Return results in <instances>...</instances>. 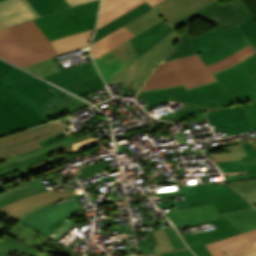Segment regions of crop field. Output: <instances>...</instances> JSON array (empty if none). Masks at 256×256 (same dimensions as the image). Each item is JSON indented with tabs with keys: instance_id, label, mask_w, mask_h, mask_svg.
I'll return each instance as SVG.
<instances>
[{
	"instance_id": "1",
	"label": "crop field",
	"mask_w": 256,
	"mask_h": 256,
	"mask_svg": "<svg viewBox=\"0 0 256 256\" xmlns=\"http://www.w3.org/2000/svg\"><path fill=\"white\" fill-rule=\"evenodd\" d=\"M254 54H256V49L249 44L238 52L209 66H206L197 55L161 63L154 70L145 86L143 85L141 92L180 85L188 90L218 82L213 74L224 71Z\"/></svg>"
},
{
	"instance_id": "2",
	"label": "crop field",
	"mask_w": 256,
	"mask_h": 256,
	"mask_svg": "<svg viewBox=\"0 0 256 256\" xmlns=\"http://www.w3.org/2000/svg\"><path fill=\"white\" fill-rule=\"evenodd\" d=\"M41 18L35 23L49 41L95 26L99 2L70 7L65 0H28Z\"/></svg>"
},
{
	"instance_id": "3",
	"label": "crop field",
	"mask_w": 256,
	"mask_h": 256,
	"mask_svg": "<svg viewBox=\"0 0 256 256\" xmlns=\"http://www.w3.org/2000/svg\"><path fill=\"white\" fill-rule=\"evenodd\" d=\"M140 94L144 96L150 104L144 107L147 111L169 99L174 102H181L184 105L182 107L186 109L183 110V108H181L159 119L189 118L202 110L212 111L237 105L220 82L188 91L181 86L173 89L143 92ZM211 106H213V108L209 109Z\"/></svg>"
},
{
	"instance_id": "4",
	"label": "crop field",
	"mask_w": 256,
	"mask_h": 256,
	"mask_svg": "<svg viewBox=\"0 0 256 256\" xmlns=\"http://www.w3.org/2000/svg\"><path fill=\"white\" fill-rule=\"evenodd\" d=\"M53 56L57 53L33 20L0 31V57L18 66Z\"/></svg>"
},
{
	"instance_id": "5",
	"label": "crop field",
	"mask_w": 256,
	"mask_h": 256,
	"mask_svg": "<svg viewBox=\"0 0 256 256\" xmlns=\"http://www.w3.org/2000/svg\"><path fill=\"white\" fill-rule=\"evenodd\" d=\"M242 0H234L222 5L219 0L175 21L174 28L177 29L183 25H187L182 38L180 39L175 51L165 60L174 59L190 54H195L192 41V33L190 22L196 18H201L221 30H226L238 23L245 22L244 17L239 11L237 5L242 4ZM215 11V12H213ZM164 60V61H165Z\"/></svg>"
},
{
	"instance_id": "6",
	"label": "crop field",
	"mask_w": 256,
	"mask_h": 256,
	"mask_svg": "<svg viewBox=\"0 0 256 256\" xmlns=\"http://www.w3.org/2000/svg\"><path fill=\"white\" fill-rule=\"evenodd\" d=\"M13 68L0 61V80ZM46 121L0 81V136Z\"/></svg>"
},
{
	"instance_id": "7",
	"label": "crop field",
	"mask_w": 256,
	"mask_h": 256,
	"mask_svg": "<svg viewBox=\"0 0 256 256\" xmlns=\"http://www.w3.org/2000/svg\"><path fill=\"white\" fill-rule=\"evenodd\" d=\"M188 205L177 207L178 210L212 203L220 213L241 210L251 206L244 198L226 183L199 184L180 187Z\"/></svg>"
},
{
	"instance_id": "8",
	"label": "crop field",
	"mask_w": 256,
	"mask_h": 256,
	"mask_svg": "<svg viewBox=\"0 0 256 256\" xmlns=\"http://www.w3.org/2000/svg\"><path fill=\"white\" fill-rule=\"evenodd\" d=\"M179 34L171 31L160 42L112 78L106 85L120 82L131 89H140L153 68L174 48Z\"/></svg>"
},
{
	"instance_id": "9",
	"label": "crop field",
	"mask_w": 256,
	"mask_h": 256,
	"mask_svg": "<svg viewBox=\"0 0 256 256\" xmlns=\"http://www.w3.org/2000/svg\"><path fill=\"white\" fill-rule=\"evenodd\" d=\"M47 239L48 237L16 222L0 238V256H52L53 254L69 256L70 253L43 246Z\"/></svg>"
},
{
	"instance_id": "10",
	"label": "crop field",
	"mask_w": 256,
	"mask_h": 256,
	"mask_svg": "<svg viewBox=\"0 0 256 256\" xmlns=\"http://www.w3.org/2000/svg\"><path fill=\"white\" fill-rule=\"evenodd\" d=\"M60 122H52L0 139V160L38 149L62 136L59 129L66 128Z\"/></svg>"
},
{
	"instance_id": "11",
	"label": "crop field",
	"mask_w": 256,
	"mask_h": 256,
	"mask_svg": "<svg viewBox=\"0 0 256 256\" xmlns=\"http://www.w3.org/2000/svg\"><path fill=\"white\" fill-rule=\"evenodd\" d=\"M176 228L225 216L240 232L256 228V210L249 208L221 215L212 205L199 206L165 213Z\"/></svg>"
},
{
	"instance_id": "12",
	"label": "crop field",
	"mask_w": 256,
	"mask_h": 256,
	"mask_svg": "<svg viewBox=\"0 0 256 256\" xmlns=\"http://www.w3.org/2000/svg\"><path fill=\"white\" fill-rule=\"evenodd\" d=\"M87 147L88 146L82 133L69 137L65 136L38 150L4 159L6 162L0 163V176L29 166L49 157L79 151Z\"/></svg>"
},
{
	"instance_id": "13",
	"label": "crop field",
	"mask_w": 256,
	"mask_h": 256,
	"mask_svg": "<svg viewBox=\"0 0 256 256\" xmlns=\"http://www.w3.org/2000/svg\"><path fill=\"white\" fill-rule=\"evenodd\" d=\"M1 81L35 111L61 91L16 68Z\"/></svg>"
},
{
	"instance_id": "14",
	"label": "crop field",
	"mask_w": 256,
	"mask_h": 256,
	"mask_svg": "<svg viewBox=\"0 0 256 256\" xmlns=\"http://www.w3.org/2000/svg\"><path fill=\"white\" fill-rule=\"evenodd\" d=\"M239 8L247 22L238 24L225 32L215 28L202 35L193 37L198 55H205L244 35L256 45V22L244 4L240 5Z\"/></svg>"
},
{
	"instance_id": "15",
	"label": "crop field",
	"mask_w": 256,
	"mask_h": 256,
	"mask_svg": "<svg viewBox=\"0 0 256 256\" xmlns=\"http://www.w3.org/2000/svg\"><path fill=\"white\" fill-rule=\"evenodd\" d=\"M215 76L236 102L256 98V55Z\"/></svg>"
},
{
	"instance_id": "16",
	"label": "crop field",
	"mask_w": 256,
	"mask_h": 256,
	"mask_svg": "<svg viewBox=\"0 0 256 256\" xmlns=\"http://www.w3.org/2000/svg\"><path fill=\"white\" fill-rule=\"evenodd\" d=\"M79 209L81 208L78 202L73 199L43 209H37L19 222L44 234L51 224L65 216L72 215V211Z\"/></svg>"
},
{
	"instance_id": "17",
	"label": "crop field",
	"mask_w": 256,
	"mask_h": 256,
	"mask_svg": "<svg viewBox=\"0 0 256 256\" xmlns=\"http://www.w3.org/2000/svg\"><path fill=\"white\" fill-rule=\"evenodd\" d=\"M137 58L130 41H127L94 61L106 83Z\"/></svg>"
},
{
	"instance_id": "18",
	"label": "crop field",
	"mask_w": 256,
	"mask_h": 256,
	"mask_svg": "<svg viewBox=\"0 0 256 256\" xmlns=\"http://www.w3.org/2000/svg\"><path fill=\"white\" fill-rule=\"evenodd\" d=\"M207 118L210 124L216 125L217 132L226 130L228 135L253 130L241 105L208 112Z\"/></svg>"
},
{
	"instance_id": "19",
	"label": "crop field",
	"mask_w": 256,
	"mask_h": 256,
	"mask_svg": "<svg viewBox=\"0 0 256 256\" xmlns=\"http://www.w3.org/2000/svg\"><path fill=\"white\" fill-rule=\"evenodd\" d=\"M38 17L27 0H9L0 4V30Z\"/></svg>"
},
{
	"instance_id": "20",
	"label": "crop field",
	"mask_w": 256,
	"mask_h": 256,
	"mask_svg": "<svg viewBox=\"0 0 256 256\" xmlns=\"http://www.w3.org/2000/svg\"><path fill=\"white\" fill-rule=\"evenodd\" d=\"M82 193V190H76L71 192L70 189L57 192L55 193L54 190L44 192L35 196H31L28 198H24L22 200H19L15 203L9 204L5 207H2V211L12 217L17 218L22 213L26 212L27 210L41 204H45L48 202L56 201L64 197L73 196Z\"/></svg>"
},
{
	"instance_id": "21",
	"label": "crop field",
	"mask_w": 256,
	"mask_h": 256,
	"mask_svg": "<svg viewBox=\"0 0 256 256\" xmlns=\"http://www.w3.org/2000/svg\"><path fill=\"white\" fill-rule=\"evenodd\" d=\"M87 106L89 105L62 91L36 112L47 120H54Z\"/></svg>"
},
{
	"instance_id": "22",
	"label": "crop field",
	"mask_w": 256,
	"mask_h": 256,
	"mask_svg": "<svg viewBox=\"0 0 256 256\" xmlns=\"http://www.w3.org/2000/svg\"><path fill=\"white\" fill-rule=\"evenodd\" d=\"M207 223L209 224L213 223L216 229L205 231V232L201 231L195 234H190V232L183 233L181 235L182 238L185 240L186 243L201 239L203 244H205V243L213 242L226 237H230L236 234H240V232L225 217L187 226V227L199 226ZM183 228H186V227H183ZM183 228H179V229H183Z\"/></svg>"
},
{
	"instance_id": "23",
	"label": "crop field",
	"mask_w": 256,
	"mask_h": 256,
	"mask_svg": "<svg viewBox=\"0 0 256 256\" xmlns=\"http://www.w3.org/2000/svg\"><path fill=\"white\" fill-rule=\"evenodd\" d=\"M210 1L212 0H164L153 5V7L170 23Z\"/></svg>"
},
{
	"instance_id": "24",
	"label": "crop field",
	"mask_w": 256,
	"mask_h": 256,
	"mask_svg": "<svg viewBox=\"0 0 256 256\" xmlns=\"http://www.w3.org/2000/svg\"><path fill=\"white\" fill-rule=\"evenodd\" d=\"M93 61L70 68L64 72L43 77L44 79L61 87L81 82L83 80L98 76Z\"/></svg>"
},
{
	"instance_id": "25",
	"label": "crop field",
	"mask_w": 256,
	"mask_h": 256,
	"mask_svg": "<svg viewBox=\"0 0 256 256\" xmlns=\"http://www.w3.org/2000/svg\"><path fill=\"white\" fill-rule=\"evenodd\" d=\"M171 30L172 27L169 26L167 22L164 24L160 22L130 40L138 56H141L143 52H145L147 49H149L151 46H153L155 43L165 37Z\"/></svg>"
},
{
	"instance_id": "26",
	"label": "crop field",
	"mask_w": 256,
	"mask_h": 256,
	"mask_svg": "<svg viewBox=\"0 0 256 256\" xmlns=\"http://www.w3.org/2000/svg\"><path fill=\"white\" fill-rule=\"evenodd\" d=\"M142 2V0H102L97 29Z\"/></svg>"
},
{
	"instance_id": "27",
	"label": "crop field",
	"mask_w": 256,
	"mask_h": 256,
	"mask_svg": "<svg viewBox=\"0 0 256 256\" xmlns=\"http://www.w3.org/2000/svg\"><path fill=\"white\" fill-rule=\"evenodd\" d=\"M134 36L136 35L127 30L125 27H120L113 33L93 43L91 48L93 59L111 50L112 48L120 45L121 43L129 40Z\"/></svg>"
},
{
	"instance_id": "28",
	"label": "crop field",
	"mask_w": 256,
	"mask_h": 256,
	"mask_svg": "<svg viewBox=\"0 0 256 256\" xmlns=\"http://www.w3.org/2000/svg\"><path fill=\"white\" fill-rule=\"evenodd\" d=\"M93 31L94 28L81 33L67 36L59 40L51 41V44L55 48L58 55H60L62 53H66L89 45Z\"/></svg>"
},
{
	"instance_id": "29",
	"label": "crop field",
	"mask_w": 256,
	"mask_h": 256,
	"mask_svg": "<svg viewBox=\"0 0 256 256\" xmlns=\"http://www.w3.org/2000/svg\"><path fill=\"white\" fill-rule=\"evenodd\" d=\"M150 9L152 8H150L145 2L136 6L135 8L131 9L130 11L126 12L125 14L121 15L120 17L116 18L115 20L111 21L110 23L98 29L95 33L94 41L113 32L123 24L142 15L143 13L147 12Z\"/></svg>"
},
{
	"instance_id": "30",
	"label": "crop field",
	"mask_w": 256,
	"mask_h": 256,
	"mask_svg": "<svg viewBox=\"0 0 256 256\" xmlns=\"http://www.w3.org/2000/svg\"><path fill=\"white\" fill-rule=\"evenodd\" d=\"M224 178L252 204L256 203V174L225 176Z\"/></svg>"
},
{
	"instance_id": "31",
	"label": "crop field",
	"mask_w": 256,
	"mask_h": 256,
	"mask_svg": "<svg viewBox=\"0 0 256 256\" xmlns=\"http://www.w3.org/2000/svg\"><path fill=\"white\" fill-rule=\"evenodd\" d=\"M162 20L164 19L152 9L123 26L137 35Z\"/></svg>"
},
{
	"instance_id": "32",
	"label": "crop field",
	"mask_w": 256,
	"mask_h": 256,
	"mask_svg": "<svg viewBox=\"0 0 256 256\" xmlns=\"http://www.w3.org/2000/svg\"><path fill=\"white\" fill-rule=\"evenodd\" d=\"M248 43H251V42L244 36V37H242V38H240V39H238V40H236V41H234V42H232L214 52H211L201 58L207 65H209V64L215 63V62L221 60L222 58H224L225 56L241 49ZM253 46L256 47L255 45H253Z\"/></svg>"
},
{
	"instance_id": "33",
	"label": "crop field",
	"mask_w": 256,
	"mask_h": 256,
	"mask_svg": "<svg viewBox=\"0 0 256 256\" xmlns=\"http://www.w3.org/2000/svg\"><path fill=\"white\" fill-rule=\"evenodd\" d=\"M23 68L41 77L65 70L60 65V63L55 59V57L23 67Z\"/></svg>"
},
{
	"instance_id": "34",
	"label": "crop field",
	"mask_w": 256,
	"mask_h": 256,
	"mask_svg": "<svg viewBox=\"0 0 256 256\" xmlns=\"http://www.w3.org/2000/svg\"><path fill=\"white\" fill-rule=\"evenodd\" d=\"M227 256H246L256 251L254 246L247 238L221 246Z\"/></svg>"
},
{
	"instance_id": "35",
	"label": "crop field",
	"mask_w": 256,
	"mask_h": 256,
	"mask_svg": "<svg viewBox=\"0 0 256 256\" xmlns=\"http://www.w3.org/2000/svg\"><path fill=\"white\" fill-rule=\"evenodd\" d=\"M104 86L105 85H104L101 77L98 76V77L83 81V82L75 84V85L64 87V88L77 94V95H80V94H83L86 92L100 89Z\"/></svg>"
},
{
	"instance_id": "36",
	"label": "crop field",
	"mask_w": 256,
	"mask_h": 256,
	"mask_svg": "<svg viewBox=\"0 0 256 256\" xmlns=\"http://www.w3.org/2000/svg\"><path fill=\"white\" fill-rule=\"evenodd\" d=\"M176 256H194L173 227L165 228Z\"/></svg>"
},
{
	"instance_id": "37",
	"label": "crop field",
	"mask_w": 256,
	"mask_h": 256,
	"mask_svg": "<svg viewBox=\"0 0 256 256\" xmlns=\"http://www.w3.org/2000/svg\"><path fill=\"white\" fill-rule=\"evenodd\" d=\"M222 172H241L256 173V163L243 165L242 161L219 162L216 163Z\"/></svg>"
},
{
	"instance_id": "38",
	"label": "crop field",
	"mask_w": 256,
	"mask_h": 256,
	"mask_svg": "<svg viewBox=\"0 0 256 256\" xmlns=\"http://www.w3.org/2000/svg\"><path fill=\"white\" fill-rule=\"evenodd\" d=\"M48 189L44 190L41 185L30 187L21 191H18L16 193L10 194L6 197H4L2 200H0V207L5 206L9 203H12L14 201H17L19 199H22L27 196L35 195L44 191H47Z\"/></svg>"
},
{
	"instance_id": "39",
	"label": "crop field",
	"mask_w": 256,
	"mask_h": 256,
	"mask_svg": "<svg viewBox=\"0 0 256 256\" xmlns=\"http://www.w3.org/2000/svg\"><path fill=\"white\" fill-rule=\"evenodd\" d=\"M231 152L208 155L214 162L241 160L240 156H247L242 145L229 146Z\"/></svg>"
},
{
	"instance_id": "40",
	"label": "crop field",
	"mask_w": 256,
	"mask_h": 256,
	"mask_svg": "<svg viewBox=\"0 0 256 256\" xmlns=\"http://www.w3.org/2000/svg\"><path fill=\"white\" fill-rule=\"evenodd\" d=\"M154 235L159 243L160 250H161V256H174L172 247L170 245V242L166 236V233L164 229H159L153 231Z\"/></svg>"
},
{
	"instance_id": "41",
	"label": "crop field",
	"mask_w": 256,
	"mask_h": 256,
	"mask_svg": "<svg viewBox=\"0 0 256 256\" xmlns=\"http://www.w3.org/2000/svg\"><path fill=\"white\" fill-rule=\"evenodd\" d=\"M242 238H245V236L243 234L233 236V237H230V238H226V239H223V240H220V241H216V242H213V243H210V244H206L205 246L211 252V254L213 256H226L224 254V252L219 248V246L230 243V242H233V241H236V240H239V239H242Z\"/></svg>"
},
{
	"instance_id": "42",
	"label": "crop field",
	"mask_w": 256,
	"mask_h": 256,
	"mask_svg": "<svg viewBox=\"0 0 256 256\" xmlns=\"http://www.w3.org/2000/svg\"><path fill=\"white\" fill-rule=\"evenodd\" d=\"M245 110V113L253 127L256 130V99L239 102Z\"/></svg>"
},
{
	"instance_id": "43",
	"label": "crop field",
	"mask_w": 256,
	"mask_h": 256,
	"mask_svg": "<svg viewBox=\"0 0 256 256\" xmlns=\"http://www.w3.org/2000/svg\"><path fill=\"white\" fill-rule=\"evenodd\" d=\"M26 187H30V184L28 183V181L9 184V185L0 187V199L4 196L8 195L11 192H14L19 189L26 188ZM1 215H4V213L0 210V216Z\"/></svg>"
},
{
	"instance_id": "44",
	"label": "crop field",
	"mask_w": 256,
	"mask_h": 256,
	"mask_svg": "<svg viewBox=\"0 0 256 256\" xmlns=\"http://www.w3.org/2000/svg\"><path fill=\"white\" fill-rule=\"evenodd\" d=\"M248 157H241L244 164L256 162V142L242 144Z\"/></svg>"
},
{
	"instance_id": "45",
	"label": "crop field",
	"mask_w": 256,
	"mask_h": 256,
	"mask_svg": "<svg viewBox=\"0 0 256 256\" xmlns=\"http://www.w3.org/2000/svg\"><path fill=\"white\" fill-rule=\"evenodd\" d=\"M188 245L198 256H212L210 252L202 244L201 240L188 243Z\"/></svg>"
},
{
	"instance_id": "46",
	"label": "crop field",
	"mask_w": 256,
	"mask_h": 256,
	"mask_svg": "<svg viewBox=\"0 0 256 256\" xmlns=\"http://www.w3.org/2000/svg\"><path fill=\"white\" fill-rule=\"evenodd\" d=\"M138 242L141 248V253L154 251L148 239L140 240Z\"/></svg>"
},
{
	"instance_id": "47",
	"label": "crop field",
	"mask_w": 256,
	"mask_h": 256,
	"mask_svg": "<svg viewBox=\"0 0 256 256\" xmlns=\"http://www.w3.org/2000/svg\"><path fill=\"white\" fill-rule=\"evenodd\" d=\"M185 204H187L186 201L182 200V201H176V202H171V203H161V204H157V206L160 208H168V207L180 206V205H185Z\"/></svg>"
},
{
	"instance_id": "48",
	"label": "crop field",
	"mask_w": 256,
	"mask_h": 256,
	"mask_svg": "<svg viewBox=\"0 0 256 256\" xmlns=\"http://www.w3.org/2000/svg\"><path fill=\"white\" fill-rule=\"evenodd\" d=\"M244 235L252 242H256V229L244 233Z\"/></svg>"
},
{
	"instance_id": "49",
	"label": "crop field",
	"mask_w": 256,
	"mask_h": 256,
	"mask_svg": "<svg viewBox=\"0 0 256 256\" xmlns=\"http://www.w3.org/2000/svg\"><path fill=\"white\" fill-rule=\"evenodd\" d=\"M66 1L69 3L70 6H73V5L90 2V1H94V0H66Z\"/></svg>"
},
{
	"instance_id": "50",
	"label": "crop field",
	"mask_w": 256,
	"mask_h": 256,
	"mask_svg": "<svg viewBox=\"0 0 256 256\" xmlns=\"http://www.w3.org/2000/svg\"><path fill=\"white\" fill-rule=\"evenodd\" d=\"M144 234H147V236H148V238H149V240H150V242H151L152 245L157 244L156 239H155V237H154V235H153L152 232H150V233H144ZM144 234H139V235H144ZM139 235H137V236H139Z\"/></svg>"
},
{
	"instance_id": "51",
	"label": "crop field",
	"mask_w": 256,
	"mask_h": 256,
	"mask_svg": "<svg viewBox=\"0 0 256 256\" xmlns=\"http://www.w3.org/2000/svg\"><path fill=\"white\" fill-rule=\"evenodd\" d=\"M119 200H124L123 196H120V197H117V198H114V199L103 200L101 202V204H105V203H109V202H114V201H119Z\"/></svg>"
},
{
	"instance_id": "52",
	"label": "crop field",
	"mask_w": 256,
	"mask_h": 256,
	"mask_svg": "<svg viewBox=\"0 0 256 256\" xmlns=\"http://www.w3.org/2000/svg\"><path fill=\"white\" fill-rule=\"evenodd\" d=\"M41 179H43V177L32 179V180H29V183L31 184V186L37 185V184H40L39 180H41Z\"/></svg>"
},
{
	"instance_id": "53",
	"label": "crop field",
	"mask_w": 256,
	"mask_h": 256,
	"mask_svg": "<svg viewBox=\"0 0 256 256\" xmlns=\"http://www.w3.org/2000/svg\"><path fill=\"white\" fill-rule=\"evenodd\" d=\"M8 229H9V227H7L6 225L0 223V232L1 233H5Z\"/></svg>"
},
{
	"instance_id": "54",
	"label": "crop field",
	"mask_w": 256,
	"mask_h": 256,
	"mask_svg": "<svg viewBox=\"0 0 256 256\" xmlns=\"http://www.w3.org/2000/svg\"><path fill=\"white\" fill-rule=\"evenodd\" d=\"M153 248H154L155 253H156V255H154V256H160V251H159L158 245L153 246Z\"/></svg>"
},
{
	"instance_id": "55",
	"label": "crop field",
	"mask_w": 256,
	"mask_h": 256,
	"mask_svg": "<svg viewBox=\"0 0 256 256\" xmlns=\"http://www.w3.org/2000/svg\"><path fill=\"white\" fill-rule=\"evenodd\" d=\"M145 1H147L149 4L153 5L161 0H145Z\"/></svg>"
},
{
	"instance_id": "56",
	"label": "crop field",
	"mask_w": 256,
	"mask_h": 256,
	"mask_svg": "<svg viewBox=\"0 0 256 256\" xmlns=\"http://www.w3.org/2000/svg\"><path fill=\"white\" fill-rule=\"evenodd\" d=\"M249 256H256V252H255V253H253V254H251V255H249Z\"/></svg>"
},
{
	"instance_id": "57",
	"label": "crop field",
	"mask_w": 256,
	"mask_h": 256,
	"mask_svg": "<svg viewBox=\"0 0 256 256\" xmlns=\"http://www.w3.org/2000/svg\"><path fill=\"white\" fill-rule=\"evenodd\" d=\"M3 1H6V0H0V2H3Z\"/></svg>"
},
{
	"instance_id": "58",
	"label": "crop field",
	"mask_w": 256,
	"mask_h": 256,
	"mask_svg": "<svg viewBox=\"0 0 256 256\" xmlns=\"http://www.w3.org/2000/svg\"><path fill=\"white\" fill-rule=\"evenodd\" d=\"M4 234H0V237H2Z\"/></svg>"
},
{
	"instance_id": "59",
	"label": "crop field",
	"mask_w": 256,
	"mask_h": 256,
	"mask_svg": "<svg viewBox=\"0 0 256 256\" xmlns=\"http://www.w3.org/2000/svg\"><path fill=\"white\" fill-rule=\"evenodd\" d=\"M254 206H256V204H254Z\"/></svg>"
},
{
	"instance_id": "60",
	"label": "crop field",
	"mask_w": 256,
	"mask_h": 256,
	"mask_svg": "<svg viewBox=\"0 0 256 256\" xmlns=\"http://www.w3.org/2000/svg\"><path fill=\"white\" fill-rule=\"evenodd\" d=\"M256 245V243H254Z\"/></svg>"
},
{
	"instance_id": "61",
	"label": "crop field",
	"mask_w": 256,
	"mask_h": 256,
	"mask_svg": "<svg viewBox=\"0 0 256 256\" xmlns=\"http://www.w3.org/2000/svg\"><path fill=\"white\" fill-rule=\"evenodd\" d=\"M135 256H137V255H135Z\"/></svg>"
}]
</instances>
